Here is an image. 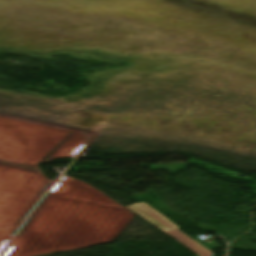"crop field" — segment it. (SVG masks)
<instances>
[{
    "mask_svg": "<svg viewBox=\"0 0 256 256\" xmlns=\"http://www.w3.org/2000/svg\"><path fill=\"white\" fill-rule=\"evenodd\" d=\"M127 207L136 212L137 214H139L140 216H142L144 219H146L159 229H161L162 231L166 232L167 234L181 242L182 244H184L186 247H188L195 253L203 254L210 252L203 246H201L199 243H197L196 241L192 240L187 235L179 231V228L176 225H174L160 213L155 211L153 208L148 206L146 203L142 202Z\"/></svg>",
    "mask_w": 256,
    "mask_h": 256,
    "instance_id": "crop-field-1",
    "label": "crop field"
},
{
    "mask_svg": "<svg viewBox=\"0 0 256 256\" xmlns=\"http://www.w3.org/2000/svg\"><path fill=\"white\" fill-rule=\"evenodd\" d=\"M214 253H209V254H203V255H199V256H211L213 255Z\"/></svg>",
    "mask_w": 256,
    "mask_h": 256,
    "instance_id": "crop-field-2",
    "label": "crop field"
}]
</instances>
